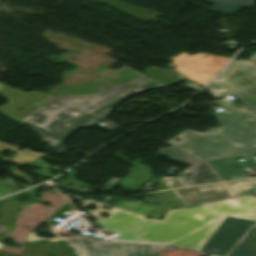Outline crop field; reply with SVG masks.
I'll list each match as a JSON object with an SVG mask.
<instances>
[{"label":"crop field","mask_w":256,"mask_h":256,"mask_svg":"<svg viewBox=\"0 0 256 256\" xmlns=\"http://www.w3.org/2000/svg\"><path fill=\"white\" fill-rule=\"evenodd\" d=\"M216 80L247 106L236 108L235 104L222 102L226 111L215 118L221 124L218 128L206 133L185 130L164 143L199 160L241 157L255 152L256 63L233 61Z\"/></svg>","instance_id":"1"},{"label":"crop field","mask_w":256,"mask_h":256,"mask_svg":"<svg viewBox=\"0 0 256 256\" xmlns=\"http://www.w3.org/2000/svg\"><path fill=\"white\" fill-rule=\"evenodd\" d=\"M85 208L96 220L94 223L103 229L117 233L116 240L147 241L168 243L174 247L190 248L199 251L209 240L214 231L227 215L256 220V197L244 196L236 199L214 203L222 215L214 226L201 225L186 209L168 210L161 221L145 219V216L134 214L92 200L82 201ZM96 205L94 210L88 209ZM102 206L111 207L105 210ZM109 214L104 218L100 215Z\"/></svg>","instance_id":"2"},{"label":"crop field","mask_w":256,"mask_h":256,"mask_svg":"<svg viewBox=\"0 0 256 256\" xmlns=\"http://www.w3.org/2000/svg\"><path fill=\"white\" fill-rule=\"evenodd\" d=\"M153 80L141 76L92 95L52 97L19 123L32 128L44 143L54 146L70 125L90 112Z\"/></svg>","instance_id":"3"},{"label":"crop field","mask_w":256,"mask_h":256,"mask_svg":"<svg viewBox=\"0 0 256 256\" xmlns=\"http://www.w3.org/2000/svg\"><path fill=\"white\" fill-rule=\"evenodd\" d=\"M39 231L29 233L26 240L45 239L37 237ZM64 240L74 250L81 254L78 256H151L166 248L167 245L124 242V241H103L102 238L74 234L70 238L56 235L50 241Z\"/></svg>","instance_id":"4"},{"label":"crop field","mask_w":256,"mask_h":256,"mask_svg":"<svg viewBox=\"0 0 256 256\" xmlns=\"http://www.w3.org/2000/svg\"><path fill=\"white\" fill-rule=\"evenodd\" d=\"M253 223L227 216L200 252L224 256Z\"/></svg>","instance_id":"5"},{"label":"crop field","mask_w":256,"mask_h":256,"mask_svg":"<svg viewBox=\"0 0 256 256\" xmlns=\"http://www.w3.org/2000/svg\"><path fill=\"white\" fill-rule=\"evenodd\" d=\"M0 95L9 101L0 107V114L17 122L52 97L50 94L38 91L25 93L16 89L10 90L6 86L0 89ZM19 108H23V110L18 111Z\"/></svg>","instance_id":"6"},{"label":"crop field","mask_w":256,"mask_h":256,"mask_svg":"<svg viewBox=\"0 0 256 256\" xmlns=\"http://www.w3.org/2000/svg\"><path fill=\"white\" fill-rule=\"evenodd\" d=\"M158 154L173 162L190 164L188 169L191 171L187 172V169L180 175L188 186L222 181L207 161H198L172 147L160 149Z\"/></svg>","instance_id":"7"},{"label":"crop field","mask_w":256,"mask_h":256,"mask_svg":"<svg viewBox=\"0 0 256 256\" xmlns=\"http://www.w3.org/2000/svg\"><path fill=\"white\" fill-rule=\"evenodd\" d=\"M173 192L186 206L235 196L225 183L191 187Z\"/></svg>","instance_id":"8"},{"label":"crop field","mask_w":256,"mask_h":256,"mask_svg":"<svg viewBox=\"0 0 256 256\" xmlns=\"http://www.w3.org/2000/svg\"><path fill=\"white\" fill-rule=\"evenodd\" d=\"M164 86L153 82L149 85H146L112 103H110L109 105L99 109L98 111L88 115L87 117L77 121L71 128L70 130L63 136V138L59 141L61 142L60 144H56L55 147L52 149V151L57 152L59 155L62 154V152L64 151V144L65 142L68 140V138L73 134V132L81 127H86V126H92V125H96L98 122H100L102 119H104L107 114L109 113V111L116 106L118 103H120L121 101L125 100L126 98H128L129 96L133 95V94H137L140 93L142 91H145L147 89H155V88H162Z\"/></svg>","instance_id":"9"},{"label":"crop field","mask_w":256,"mask_h":256,"mask_svg":"<svg viewBox=\"0 0 256 256\" xmlns=\"http://www.w3.org/2000/svg\"><path fill=\"white\" fill-rule=\"evenodd\" d=\"M244 158L246 161L243 163L239 162L238 158L212 160L209 162L224 180H229L249 177L242 168L256 166V161L252 159L251 155L244 156Z\"/></svg>","instance_id":"10"},{"label":"crop field","mask_w":256,"mask_h":256,"mask_svg":"<svg viewBox=\"0 0 256 256\" xmlns=\"http://www.w3.org/2000/svg\"><path fill=\"white\" fill-rule=\"evenodd\" d=\"M20 148H23V147H18L15 145H9L7 143L0 142V152L6 151V150H12V152L17 153L16 155L12 153V155L9 157H4L3 155L0 154V159L4 162H7L9 161V158H12L11 162L24 166L30 163L31 161H33L34 159H36V157H39L40 155H42V153L33 152L27 148H24L23 151H20L19 150Z\"/></svg>","instance_id":"11"},{"label":"crop field","mask_w":256,"mask_h":256,"mask_svg":"<svg viewBox=\"0 0 256 256\" xmlns=\"http://www.w3.org/2000/svg\"><path fill=\"white\" fill-rule=\"evenodd\" d=\"M227 256H256V225L250 229Z\"/></svg>","instance_id":"12"},{"label":"crop field","mask_w":256,"mask_h":256,"mask_svg":"<svg viewBox=\"0 0 256 256\" xmlns=\"http://www.w3.org/2000/svg\"><path fill=\"white\" fill-rule=\"evenodd\" d=\"M194 217L204 225H213L221 216L212 204H204L194 208H187Z\"/></svg>","instance_id":"13"},{"label":"crop field","mask_w":256,"mask_h":256,"mask_svg":"<svg viewBox=\"0 0 256 256\" xmlns=\"http://www.w3.org/2000/svg\"><path fill=\"white\" fill-rule=\"evenodd\" d=\"M215 4L211 9L236 15L241 6L251 8L255 0H204Z\"/></svg>","instance_id":"14"},{"label":"crop field","mask_w":256,"mask_h":256,"mask_svg":"<svg viewBox=\"0 0 256 256\" xmlns=\"http://www.w3.org/2000/svg\"><path fill=\"white\" fill-rule=\"evenodd\" d=\"M227 184L237 195L251 193L256 196V179L229 182Z\"/></svg>","instance_id":"15"},{"label":"crop field","mask_w":256,"mask_h":256,"mask_svg":"<svg viewBox=\"0 0 256 256\" xmlns=\"http://www.w3.org/2000/svg\"><path fill=\"white\" fill-rule=\"evenodd\" d=\"M211 95L215 98H220L228 94L226 90H224L220 85H218L215 81L206 87Z\"/></svg>","instance_id":"16"},{"label":"crop field","mask_w":256,"mask_h":256,"mask_svg":"<svg viewBox=\"0 0 256 256\" xmlns=\"http://www.w3.org/2000/svg\"><path fill=\"white\" fill-rule=\"evenodd\" d=\"M169 188L184 186L179 178L160 177Z\"/></svg>","instance_id":"17"},{"label":"crop field","mask_w":256,"mask_h":256,"mask_svg":"<svg viewBox=\"0 0 256 256\" xmlns=\"http://www.w3.org/2000/svg\"><path fill=\"white\" fill-rule=\"evenodd\" d=\"M6 189H9V190L7 191ZM14 191H17V190L0 182V196L6 195L8 194V192H14Z\"/></svg>","instance_id":"18"},{"label":"crop field","mask_w":256,"mask_h":256,"mask_svg":"<svg viewBox=\"0 0 256 256\" xmlns=\"http://www.w3.org/2000/svg\"><path fill=\"white\" fill-rule=\"evenodd\" d=\"M249 60L256 62V52L251 54V57L249 58Z\"/></svg>","instance_id":"19"},{"label":"crop field","mask_w":256,"mask_h":256,"mask_svg":"<svg viewBox=\"0 0 256 256\" xmlns=\"http://www.w3.org/2000/svg\"><path fill=\"white\" fill-rule=\"evenodd\" d=\"M12 174H14L15 176H20V175H23L21 172L17 171V172H12Z\"/></svg>","instance_id":"20"},{"label":"crop field","mask_w":256,"mask_h":256,"mask_svg":"<svg viewBox=\"0 0 256 256\" xmlns=\"http://www.w3.org/2000/svg\"><path fill=\"white\" fill-rule=\"evenodd\" d=\"M4 85L0 84V88L3 87Z\"/></svg>","instance_id":"21"},{"label":"crop field","mask_w":256,"mask_h":256,"mask_svg":"<svg viewBox=\"0 0 256 256\" xmlns=\"http://www.w3.org/2000/svg\"><path fill=\"white\" fill-rule=\"evenodd\" d=\"M154 256H160V255L156 254V255H154Z\"/></svg>","instance_id":"22"},{"label":"crop field","mask_w":256,"mask_h":256,"mask_svg":"<svg viewBox=\"0 0 256 256\" xmlns=\"http://www.w3.org/2000/svg\"><path fill=\"white\" fill-rule=\"evenodd\" d=\"M0 246H1V243H0Z\"/></svg>","instance_id":"23"}]
</instances>
